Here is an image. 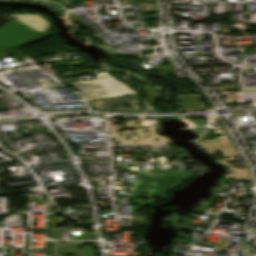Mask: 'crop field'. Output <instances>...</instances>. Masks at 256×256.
I'll list each match as a JSON object with an SVG mask.
<instances>
[{
    "label": "crop field",
    "mask_w": 256,
    "mask_h": 256,
    "mask_svg": "<svg viewBox=\"0 0 256 256\" xmlns=\"http://www.w3.org/2000/svg\"><path fill=\"white\" fill-rule=\"evenodd\" d=\"M94 75L97 79L71 83L80 91L86 102L136 94L105 72L95 73Z\"/></svg>",
    "instance_id": "obj_2"
},
{
    "label": "crop field",
    "mask_w": 256,
    "mask_h": 256,
    "mask_svg": "<svg viewBox=\"0 0 256 256\" xmlns=\"http://www.w3.org/2000/svg\"><path fill=\"white\" fill-rule=\"evenodd\" d=\"M39 33L19 23L16 20L0 28V50L21 41L25 38L35 36Z\"/></svg>",
    "instance_id": "obj_3"
},
{
    "label": "crop field",
    "mask_w": 256,
    "mask_h": 256,
    "mask_svg": "<svg viewBox=\"0 0 256 256\" xmlns=\"http://www.w3.org/2000/svg\"><path fill=\"white\" fill-rule=\"evenodd\" d=\"M9 18H15L19 22L31 27L39 33L47 31L49 29L48 21L44 20L39 15H14L9 16Z\"/></svg>",
    "instance_id": "obj_5"
},
{
    "label": "crop field",
    "mask_w": 256,
    "mask_h": 256,
    "mask_svg": "<svg viewBox=\"0 0 256 256\" xmlns=\"http://www.w3.org/2000/svg\"><path fill=\"white\" fill-rule=\"evenodd\" d=\"M126 103L130 105L129 108L124 106V104ZM89 104L95 108L106 110H115L123 112H138L140 110L134 95L129 97H122L103 101H92L89 102Z\"/></svg>",
    "instance_id": "obj_4"
},
{
    "label": "crop field",
    "mask_w": 256,
    "mask_h": 256,
    "mask_svg": "<svg viewBox=\"0 0 256 256\" xmlns=\"http://www.w3.org/2000/svg\"><path fill=\"white\" fill-rule=\"evenodd\" d=\"M193 174L173 173H135L130 187L126 193L128 196L142 198H166L169 189L181 186ZM148 192V195H143Z\"/></svg>",
    "instance_id": "obj_1"
},
{
    "label": "crop field",
    "mask_w": 256,
    "mask_h": 256,
    "mask_svg": "<svg viewBox=\"0 0 256 256\" xmlns=\"http://www.w3.org/2000/svg\"><path fill=\"white\" fill-rule=\"evenodd\" d=\"M50 35H51V33L39 34V35H37L35 37L28 38V39H25V40H23L21 42H18L16 44H14V45H11V46H9V47L1 50V51L7 52V53L15 55V56H19V55L24 54V53L18 51L17 49H19V48H21V47H23V46H25L27 44H30L32 42H35V41H38V40L43 39L45 37H48Z\"/></svg>",
    "instance_id": "obj_6"
}]
</instances>
